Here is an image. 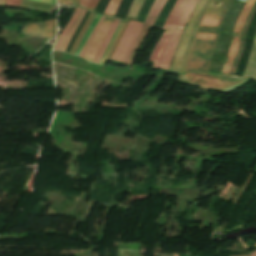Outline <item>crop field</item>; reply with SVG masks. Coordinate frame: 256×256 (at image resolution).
<instances>
[{
	"instance_id": "crop-field-2",
	"label": "crop field",
	"mask_w": 256,
	"mask_h": 256,
	"mask_svg": "<svg viewBox=\"0 0 256 256\" xmlns=\"http://www.w3.org/2000/svg\"><path fill=\"white\" fill-rule=\"evenodd\" d=\"M188 0H177L175 5L173 6L166 22L165 25L163 26V29H165L160 41L158 42L157 46L155 47L150 60L153 62V68L156 69L157 65V59L167 42L171 32L173 31L186 3ZM199 1V0H198ZM197 0H189L174 31L172 32L168 42L166 43L159 59H158V65L157 69H168V66L171 62L173 53L175 51V48L177 46V43L180 39L181 33L183 31V27L192 12Z\"/></svg>"
},
{
	"instance_id": "crop-field-15",
	"label": "crop field",
	"mask_w": 256,
	"mask_h": 256,
	"mask_svg": "<svg viewBox=\"0 0 256 256\" xmlns=\"http://www.w3.org/2000/svg\"><path fill=\"white\" fill-rule=\"evenodd\" d=\"M121 0H111L107 10L104 12V15H108V16H114L116 10H117V7L119 5Z\"/></svg>"
},
{
	"instance_id": "crop-field-10",
	"label": "crop field",
	"mask_w": 256,
	"mask_h": 256,
	"mask_svg": "<svg viewBox=\"0 0 256 256\" xmlns=\"http://www.w3.org/2000/svg\"><path fill=\"white\" fill-rule=\"evenodd\" d=\"M255 8H256V3H255V5L253 6V8L250 10V12H249V14H248V16H247V18H246V20H245V23H244V26H243V30H242V33H241V38H240V47H239V50H238V52H237V55H236V57H235V60H234V62H233L232 68H231L230 73H229V74H231V75L233 74V72H234V70H235L237 60H238V58H239V56H240V54H241V50H242V46H243V40H244V33H245V29H246L247 23H248V21H249L251 15H252V13H253V11L255 10Z\"/></svg>"
},
{
	"instance_id": "crop-field-3",
	"label": "crop field",
	"mask_w": 256,
	"mask_h": 256,
	"mask_svg": "<svg viewBox=\"0 0 256 256\" xmlns=\"http://www.w3.org/2000/svg\"><path fill=\"white\" fill-rule=\"evenodd\" d=\"M242 79L244 78H238L234 76H225L221 74H205V73L192 72V73L179 74L177 80L220 91ZM248 80L249 78L223 90V92L229 93L237 89L241 85H243Z\"/></svg>"
},
{
	"instance_id": "crop-field-8",
	"label": "crop field",
	"mask_w": 256,
	"mask_h": 256,
	"mask_svg": "<svg viewBox=\"0 0 256 256\" xmlns=\"http://www.w3.org/2000/svg\"><path fill=\"white\" fill-rule=\"evenodd\" d=\"M86 13V9H81L78 12L74 22L72 23V25L69 27L68 31L66 32V34L64 35L59 47L57 50H62L64 51L68 42L70 41L75 29L78 27L83 15Z\"/></svg>"
},
{
	"instance_id": "crop-field-9",
	"label": "crop field",
	"mask_w": 256,
	"mask_h": 256,
	"mask_svg": "<svg viewBox=\"0 0 256 256\" xmlns=\"http://www.w3.org/2000/svg\"><path fill=\"white\" fill-rule=\"evenodd\" d=\"M166 0H155L145 24L154 25L159 13L161 12Z\"/></svg>"
},
{
	"instance_id": "crop-field-25",
	"label": "crop field",
	"mask_w": 256,
	"mask_h": 256,
	"mask_svg": "<svg viewBox=\"0 0 256 256\" xmlns=\"http://www.w3.org/2000/svg\"><path fill=\"white\" fill-rule=\"evenodd\" d=\"M250 256H256V251H254L253 253H250Z\"/></svg>"
},
{
	"instance_id": "crop-field-14",
	"label": "crop field",
	"mask_w": 256,
	"mask_h": 256,
	"mask_svg": "<svg viewBox=\"0 0 256 256\" xmlns=\"http://www.w3.org/2000/svg\"><path fill=\"white\" fill-rule=\"evenodd\" d=\"M103 19H104V16H102V18H101L100 21L98 22L97 26H96L95 29L93 30L92 34H91L90 37L87 39V41H86V43H85V45H84V47H83V49H82V51H81V53H80V56L83 57L84 53L86 52L87 48L89 47V45H90V43H91V41H92V39H93V37L95 36L97 30L99 29V27H100V25H101Z\"/></svg>"
},
{
	"instance_id": "crop-field-5",
	"label": "crop field",
	"mask_w": 256,
	"mask_h": 256,
	"mask_svg": "<svg viewBox=\"0 0 256 256\" xmlns=\"http://www.w3.org/2000/svg\"><path fill=\"white\" fill-rule=\"evenodd\" d=\"M142 23L137 21H129L120 41L114 52L113 56L111 57L112 60L123 62L130 45L136 38Z\"/></svg>"
},
{
	"instance_id": "crop-field-24",
	"label": "crop field",
	"mask_w": 256,
	"mask_h": 256,
	"mask_svg": "<svg viewBox=\"0 0 256 256\" xmlns=\"http://www.w3.org/2000/svg\"><path fill=\"white\" fill-rule=\"evenodd\" d=\"M58 2H69L71 3V0H57Z\"/></svg>"
},
{
	"instance_id": "crop-field-26",
	"label": "crop field",
	"mask_w": 256,
	"mask_h": 256,
	"mask_svg": "<svg viewBox=\"0 0 256 256\" xmlns=\"http://www.w3.org/2000/svg\"><path fill=\"white\" fill-rule=\"evenodd\" d=\"M5 0H0V5H4Z\"/></svg>"
},
{
	"instance_id": "crop-field-22",
	"label": "crop field",
	"mask_w": 256,
	"mask_h": 256,
	"mask_svg": "<svg viewBox=\"0 0 256 256\" xmlns=\"http://www.w3.org/2000/svg\"><path fill=\"white\" fill-rule=\"evenodd\" d=\"M89 1H90V0H81L80 5H81V6H84V7H87Z\"/></svg>"
},
{
	"instance_id": "crop-field-18",
	"label": "crop field",
	"mask_w": 256,
	"mask_h": 256,
	"mask_svg": "<svg viewBox=\"0 0 256 256\" xmlns=\"http://www.w3.org/2000/svg\"><path fill=\"white\" fill-rule=\"evenodd\" d=\"M78 10H79V9H76V10H75V12H74V14H73V16H72L70 22L66 25V27H65V28L63 29V31L61 32V34H60V36L58 37V39H57V41H56L55 46H54L53 49H55V50L57 49V47H58V45H59V43H60L61 38H62L63 35L65 34V32H66V30L68 29V27L70 26V24L73 22V20H74L76 14H77V12H78Z\"/></svg>"
},
{
	"instance_id": "crop-field-6",
	"label": "crop field",
	"mask_w": 256,
	"mask_h": 256,
	"mask_svg": "<svg viewBox=\"0 0 256 256\" xmlns=\"http://www.w3.org/2000/svg\"><path fill=\"white\" fill-rule=\"evenodd\" d=\"M114 19L106 17L104 22L102 23L100 29L98 30L96 36L94 37L90 47L84 55V59L89 61H94Z\"/></svg>"
},
{
	"instance_id": "crop-field-17",
	"label": "crop field",
	"mask_w": 256,
	"mask_h": 256,
	"mask_svg": "<svg viewBox=\"0 0 256 256\" xmlns=\"http://www.w3.org/2000/svg\"><path fill=\"white\" fill-rule=\"evenodd\" d=\"M123 23H124V21L121 20V22H120V24H119L117 30L115 31V33H114V35H113V37H112V39H111V41H110V43H109V45H108L106 51H105L104 54H103V57H102V59H101V61H100V64H103V62H104V60H105V57H106V55H107V53H108V51H109V49H110V47H111V45H112L114 39H115V37H116L118 31L120 30L121 26L123 25Z\"/></svg>"
},
{
	"instance_id": "crop-field-16",
	"label": "crop field",
	"mask_w": 256,
	"mask_h": 256,
	"mask_svg": "<svg viewBox=\"0 0 256 256\" xmlns=\"http://www.w3.org/2000/svg\"><path fill=\"white\" fill-rule=\"evenodd\" d=\"M127 23H128V21H125L124 25L122 26V28H121V30H120V32H119L117 38H116V41H115V43H114V45H113V47H112V49H111V51H110L108 57H107L106 60H105V63H104L105 65L107 64V62H108L110 56L112 55L113 51L115 50V48H116V46H117V44H118V41H119V39H120V37H121V35H122V33H123V31H124V29H125Z\"/></svg>"
},
{
	"instance_id": "crop-field-7",
	"label": "crop field",
	"mask_w": 256,
	"mask_h": 256,
	"mask_svg": "<svg viewBox=\"0 0 256 256\" xmlns=\"http://www.w3.org/2000/svg\"><path fill=\"white\" fill-rule=\"evenodd\" d=\"M22 34L36 35L48 38H55L56 35V19L46 21L44 23H29L26 25Z\"/></svg>"
},
{
	"instance_id": "crop-field-11",
	"label": "crop field",
	"mask_w": 256,
	"mask_h": 256,
	"mask_svg": "<svg viewBox=\"0 0 256 256\" xmlns=\"http://www.w3.org/2000/svg\"><path fill=\"white\" fill-rule=\"evenodd\" d=\"M94 16H95V13H92V12H91V14L88 16V18H87V20H86V22H85L83 28L81 29L79 35L77 36V38H76V40H75V42H74V44H73V46H72V48H71V50H70L69 53L74 54V52H75V50H76V48H77V46H78V44H79L81 38H82L83 35L85 34V32H86L87 28L89 27L91 21L93 20ZM82 39H83V38H82ZM81 41H82V40H81Z\"/></svg>"
},
{
	"instance_id": "crop-field-13",
	"label": "crop field",
	"mask_w": 256,
	"mask_h": 256,
	"mask_svg": "<svg viewBox=\"0 0 256 256\" xmlns=\"http://www.w3.org/2000/svg\"><path fill=\"white\" fill-rule=\"evenodd\" d=\"M147 27H148V25H145V24L143 25V27H142V29H141L139 35L137 36V38H136L135 41L133 42V44H132V46H131V48H130V50H129V52H128V55H127V57L125 58L123 64H125V65L128 64V60H129V58H130V56H131V54H132V52H133L135 46L137 45L139 39L141 38L142 34H143L144 31L147 29Z\"/></svg>"
},
{
	"instance_id": "crop-field-19",
	"label": "crop field",
	"mask_w": 256,
	"mask_h": 256,
	"mask_svg": "<svg viewBox=\"0 0 256 256\" xmlns=\"http://www.w3.org/2000/svg\"><path fill=\"white\" fill-rule=\"evenodd\" d=\"M20 0H6L5 6L19 7Z\"/></svg>"
},
{
	"instance_id": "crop-field-23",
	"label": "crop field",
	"mask_w": 256,
	"mask_h": 256,
	"mask_svg": "<svg viewBox=\"0 0 256 256\" xmlns=\"http://www.w3.org/2000/svg\"><path fill=\"white\" fill-rule=\"evenodd\" d=\"M80 0H73V7H79Z\"/></svg>"
},
{
	"instance_id": "crop-field-4",
	"label": "crop field",
	"mask_w": 256,
	"mask_h": 256,
	"mask_svg": "<svg viewBox=\"0 0 256 256\" xmlns=\"http://www.w3.org/2000/svg\"><path fill=\"white\" fill-rule=\"evenodd\" d=\"M255 2H256V0H248V2L244 6L243 10L241 11V13H240V15H239V17L236 21V25H235V28H234V31H233V38H232L229 54H228V57H227L224 65H223V70H222L223 74H228L229 73L232 62H233L234 57L236 55V52L238 50L239 37H240V33H241V29H242L245 17L247 15V13L249 12V10L252 8V6L254 5Z\"/></svg>"
},
{
	"instance_id": "crop-field-21",
	"label": "crop field",
	"mask_w": 256,
	"mask_h": 256,
	"mask_svg": "<svg viewBox=\"0 0 256 256\" xmlns=\"http://www.w3.org/2000/svg\"><path fill=\"white\" fill-rule=\"evenodd\" d=\"M32 1H37V2L46 3L50 5H54L56 3V0H32Z\"/></svg>"
},
{
	"instance_id": "crop-field-12",
	"label": "crop field",
	"mask_w": 256,
	"mask_h": 256,
	"mask_svg": "<svg viewBox=\"0 0 256 256\" xmlns=\"http://www.w3.org/2000/svg\"><path fill=\"white\" fill-rule=\"evenodd\" d=\"M119 21H120V20H118V19L115 20V22H114V24H113V26H112V28H111V30H110V32H109V34H108L106 40H105V42H104L103 46L101 47V49H100V51H99V53H98V55H97V57H96V59H95L94 62H96V63L99 62V60H100V58H101V56H102L104 50L106 49V47H107V45H108V43H109V41H110V39H111V37H112V35H113L115 29H116V27H117Z\"/></svg>"
},
{
	"instance_id": "crop-field-20",
	"label": "crop field",
	"mask_w": 256,
	"mask_h": 256,
	"mask_svg": "<svg viewBox=\"0 0 256 256\" xmlns=\"http://www.w3.org/2000/svg\"><path fill=\"white\" fill-rule=\"evenodd\" d=\"M99 0H91L89 5H88V9L90 10H94L95 6L97 5Z\"/></svg>"
},
{
	"instance_id": "crop-field-1",
	"label": "crop field",
	"mask_w": 256,
	"mask_h": 256,
	"mask_svg": "<svg viewBox=\"0 0 256 256\" xmlns=\"http://www.w3.org/2000/svg\"><path fill=\"white\" fill-rule=\"evenodd\" d=\"M229 1L230 0H213L205 13L204 19L199 27L195 42L213 43L218 20ZM232 1L233 0H231L227 5L218 23L214 44L194 43L191 48L189 60L186 65L185 71H208L210 58L214 51L221 20Z\"/></svg>"
}]
</instances>
